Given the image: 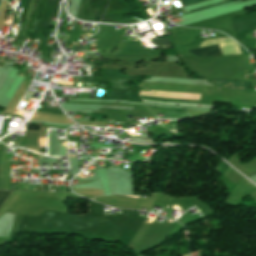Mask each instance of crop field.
Wrapping results in <instances>:
<instances>
[{
	"label": "crop field",
	"mask_w": 256,
	"mask_h": 256,
	"mask_svg": "<svg viewBox=\"0 0 256 256\" xmlns=\"http://www.w3.org/2000/svg\"><path fill=\"white\" fill-rule=\"evenodd\" d=\"M184 6L192 5L205 0H181Z\"/></svg>",
	"instance_id": "5"
},
{
	"label": "crop field",
	"mask_w": 256,
	"mask_h": 256,
	"mask_svg": "<svg viewBox=\"0 0 256 256\" xmlns=\"http://www.w3.org/2000/svg\"><path fill=\"white\" fill-rule=\"evenodd\" d=\"M188 51L196 56L222 55L218 45L196 48V49H192V50H188Z\"/></svg>",
	"instance_id": "1"
},
{
	"label": "crop field",
	"mask_w": 256,
	"mask_h": 256,
	"mask_svg": "<svg viewBox=\"0 0 256 256\" xmlns=\"http://www.w3.org/2000/svg\"><path fill=\"white\" fill-rule=\"evenodd\" d=\"M189 113H184V112H166L165 118H170V119H183V118H188Z\"/></svg>",
	"instance_id": "3"
},
{
	"label": "crop field",
	"mask_w": 256,
	"mask_h": 256,
	"mask_svg": "<svg viewBox=\"0 0 256 256\" xmlns=\"http://www.w3.org/2000/svg\"><path fill=\"white\" fill-rule=\"evenodd\" d=\"M123 123V122H122Z\"/></svg>",
	"instance_id": "7"
},
{
	"label": "crop field",
	"mask_w": 256,
	"mask_h": 256,
	"mask_svg": "<svg viewBox=\"0 0 256 256\" xmlns=\"http://www.w3.org/2000/svg\"><path fill=\"white\" fill-rule=\"evenodd\" d=\"M3 147V144L0 143V151H1V148ZM1 154V153H0Z\"/></svg>",
	"instance_id": "6"
},
{
	"label": "crop field",
	"mask_w": 256,
	"mask_h": 256,
	"mask_svg": "<svg viewBox=\"0 0 256 256\" xmlns=\"http://www.w3.org/2000/svg\"><path fill=\"white\" fill-rule=\"evenodd\" d=\"M210 81L218 84V86H221V87L241 88V89H246L247 84H250V83H244V82L215 81V80H210Z\"/></svg>",
	"instance_id": "2"
},
{
	"label": "crop field",
	"mask_w": 256,
	"mask_h": 256,
	"mask_svg": "<svg viewBox=\"0 0 256 256\" xmlns=\"http://www.w3.org/2000/svg\"><path fill=\"white\" fill-rule=\"evenodd\" d=\"M13 191H0V207Z\"/></svg>",
	"instance_id": "4"
}]
</instances>
